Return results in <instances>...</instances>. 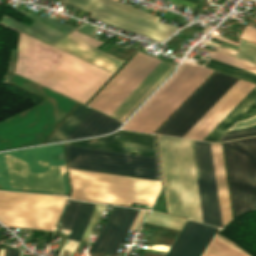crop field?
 I'll list each match as a JSON object with an SVG mask.
<instances>
[{
    "mask_svg": "<svg viewBox=\"0 0 256 256\" xmlns=\"http://www.w3.org/2000/svg\"><path fill=\"white\" fill-rule=\"evenodd\" d=\"M212 59L227 63L229 65L256 73V65L236 59L234 57L216 52V54L212 57Z\"/></svg>",
    "mask_w": 256,
    "mask_h": 256,
    "instance_id": "29",
    "label": "crop field"
},
{
    "mask_svg": "<svg viewBox=\"0 0 256 256\" xmlns=\"http://www.w3.org/2000/svg\"><path fill=\"white\" fill-rule=\"evenodd\" d=\"M212 146L223 226L231 220L220 144Z\"/></svg>",
    "mask_w": 256,
    "mask_h": 256,
    "instance_id": "21",
    "label": "crop field"
},
{
    "mask_svg": "<svg viewBox=\"0 0 256 256\" xmlns=\"http://www.w3.org/2000/svg\"><path fill=\"white\" fill-rule=\"evenodd\" d=\"M216 227L188 220L166 256H199Z\"/></svg>",
    "mask_w": 256,
    "mask_h": 256,
    "instance_id": "16",
    "label": "crop field"
},
{
    "mask_svg": "<svg viewBox=\"0 0 256 256\" xmlns=\"http://www.w3.org/2000/svg\"><path fill=\"white\" fill-rule=\"evenodd\" d=\"M186 1H189V2L197 4L200 0H186Z\"/></svg>",
    "mask_w": 256,
    "mask_h": 256,
    "instance_id": "41",
    "label": "crop field"
},
{
    "mask_svg": "<svg viewBox=\"0 0 256 256\" xmlns=\"http://www.w3.org/2000/svg\"><path fill=\"white\" fill-rule=\"evenodd\" d=\"M64 144L156 157L153 135L118 131L104 137Z\"/></svg>",
    "mask_w": 256,
    "mask_h": 256,
    "instance_id": "13",
    "label": "crop field"
},
{
    "mask_svg": "<svg viewBox=\"0 0 256 256\" xmlns=\"http://www.w3.org/2000/svg\"><path fill=\"white\" fill-rule=\"evenodd\" d=\"M212 72L213 70L183 61L179 70L123 129L153 133Z\"/></svg>",
    "mask_w": 256,
    "mask_h": 256,
    "instance_id": "5",
    "label": "crop field"
},
{
    "mask_svg": "<svg viewBox=\"0 0 256 256\" xmlns=\"http://www.w3.org/2000/svg\"><path fill=\"white\" fill-rule=\"evenodd\" d=\"M255 100L256 86L230 111V113L203 140L215 142Z\"/></svg>",
    "mask_w": 256,
    "mask_h": 256,
    "instance_id": "22",
    "label": "crop field"
},
{
    "mask_svg": "<svg viewBox=\"0 0 256 256\" xmlns=\"http://www.w3.org/2000/svg\"><path fill=\"white\" fill-rule=\"evenodd\" d=\"M237 81L216 72L156 133L182 137Z\"/></svg>",
    "mask_w": 256,
    "mask_h": 256,
    "instance_id": "9",
    "label": "crop field"
},
{
    "mask_svg": "<svg viewBox=\"0 0 256 256\" xmlns=\"http://www.w3.org/2000/svg\"><path fill=\"white\" fill-rule=\"evenodd\" d=\"M255 134H256V127H251V128L227 132L220 140L238 138V137L255 135Z\"/></svg>",
    "mask_w": 256,
    "mask_h": 256,
    "instance_id": "33",
    "label": "crop field"
},
{
    "mask_svg": "<svg viewBox=\"0 0 256 256\" xmlns=\"http://www.w3.org/2000/svg\"><path fill=\"white\" fill-rule=\"evenodd\" d=\"M80 203L81 201H74V200L69 201L68 208L66 210L65 216L61 223L63 225V228L69 229V230L72 228L79 211Z\"/></svg>",
    "mask_w": 256,
    "mask_h": 256,
    "instance_id": "30",
    "label": "crop field"
},
{
    "mask_svg": "<svg viewBox=\"0 0 256 256\" xmlns=\"http://www.w3.org/2000/svg\"><path fill=\"white\" fill-rule=\"evenodd\" d=\"M9 8H11V7H9ZM12 9H15V8H12ZM15 10L34 19L35 21L28 27L16 20L2 14V19L0 21V25H3L9 29H12L17 33H20L21 31H23L27 34H30V35L36 37V38L46 41L52 45H54L63 36H65L69 31H71L75 28V27L64 24L62 22H59V21L49 18V17H45V16H42L39 14H35V13H31V12H27V11H23V10H19V9H15ZM41 20H43L49 24H52L56 27H59L67 32L64 33L58 29L48 26V25L40 22Z\"/></svg>",
    "mask_w": 256,
    "mask_h": 256,
    "instance_id": "15",
    "label": "crop field"
},
{
    "mask_svg": "<svg viewBox=\"0 0 256 256\" xmlns=\"http://www.w3.org/2000/svg\"><path fill=\"white\" fill-rule=\"evenodd\" d=\"M203 256H245L234 248L215 238Z\"/></svg>",
    "mask_w": 256,
    "mask_h": 256,
    "instance_id": "27",
    "label": "crop field"
},
{
    "mask_svg": "<svg viewBox=\"0 0 256 256\" xmlns=\"http://www.w3.org/2000/svg\"><path fill=\"white\" fill-rule=\"evenodd\" d=\"M209 36L216 37V38L222 39V40H224V41H227V42H230V43H233V44H236V45L238 44L237 42L230 41V40H227V39H223V38L217 37V36L212 35V34H210Z\"/></svg>",
    "mask_w": 256,
    "mask_h": 256,
    "instance_id": "40",
    "label": "crop field"
},
{
    "mask_svg": "<svg viewBox=\"0 0 256 256\" xmlns=\"http://www.w3.org/2000/svg\"><path fill=\"white\" fill-rule=\"evenodd\" d=\"M15 73L83 103L112 75L23 33Z\"/></svg>",
    "mask_w": 256,
    "mask_h": 256,
    "instance_id": "1",
    "label": "crop field"
},
{
    "mask_svg": "<svg viewBox=\"0 0 256 256\" xmlns=\"http://www.w3.org/2000/svg\"><path fill=\"white\" fill-rule=\"evenodd\" d=\"M145 221L180 230L186 219L151 211Z\"/></svg>",
    "mask_w": 256,
    "mask_h": 256,
    "instance_id": "25",
    "label": "crop field"
},
{
    "mask_svg": "<svg viewBox=\"0 0 256 256\" xmlns=\"http://www.w3.org/2000/svg\"><path fill=\"white\" fill-rule=\"evenodd\" d=\"M94 203L82 202L76 223L68 236V239L80 241L88 224Z\"/></svg>",
    "mask_w": 256,
    "mask_h": 256,
    "instance_id": "24",
    "label": "crop field"
},
{
    "mask_svg": "<svg viewBox=\"0 0 256 256\" xmlns=\"http://www.w3.org/2000/svg\"><path fill=\"white\" fill-rule=\"evenodd\" d=\"M157 138L168 213L202 222L190 140Z\"/></svg>",
    "mask_w": 256,
    "mask_h": 256,
    "instance_id": "3",
    "label": "crop field"
},
{
    "mask_svg": "<svg viewBox=\"0 0 256 256\" xmlns=\"http://www.w3.org/2000/svg\"><path fill=\"white\" fill-rule=\"evenodd\" d=\"M18 254V251L6 249L4 256H18Z\"/></svg>",
    "mask_w": 256,
    "mask_h": 256,
    "instance_id": "39",
    "label": "crop field"
},
{
    "mask_svg": "<svg viewBox=\"0 0 256 256\" xmlns=\"http://www.w3.org/2000/svg\"><path fill=\"white\" fill-rule=\"evenodd\" d=\"M174 65L161 61L136 89L119 105L111 116L124 121L146 97L174 69Z\"/></svg>",
    "mask_w": 256,
    "mask_h": 256,
    "instance_id": "17",
    "label": "crop field"
},
{
    "mask_svg": "<svg viewBox=\"0 0 256 256\" xmlns=\"http://www.w3.org/2000/svg\"><path fill=\"white\" fill-rule=\"evenodd\" d=\"M254 86L245 82L191 138L202 140Z\"/></svg>",
    "mask_w": 256,
    "mask_h": 256,
    "instance_id": "20",
    "label": "crop field"
},
{
    "mask_svg": "<svg viewBox=\"0 0 256 256\" xmlns=\"http://www.w3.org/2000/svg\"><path fill=\"white\" fill-rule=\"evenodd\" d=\"M55 46L104 67L112 72H114L123 63V61L80 41H77L67 35L56 43Z\"/></svg>",
    "mask_w": 256,
    "mask_h": 256,
    "instance_id": "18",
    "label": "crop field"
},
{
    "mask_svg": "<svg viewBox=\"0 0 256 256\" xmlns=\"http://www.w3.org/2000/svg\"><path fill=\"white\" fill-rule=\"evenodd\" d=\"M243 83L239 80L183 137L190 138Z\"/></svg>",
    "mask_w": 256,
    "mask_h": 256,
    "instance_id": "26",
    "label": "crop field"
},
{
    "mask_svg": "<svg viewBox=\"0 0 256 256\" xmlns=\"http://www.w3.org/2000/svg\"><path fill=\"white\" fill-rule=\"evenodd\" d=\"M4 250H5V249H1V250H0V256H3Z\"/></svg>",
    "mask_w": 256,
    "mask_h": 256,
    "instance_id": "42",
    "label": "crop field"
},
{
    "mask_svg": "<svg viewBox=\"0 0 256 256\" xmlns=\"http://www.w3.org/2000/svg\"><path fill=\"white\" fill-rule=\"evenodd\" d=\"M77 30L93 36V34L96 32L97 28L92 27L88 24H84V25H81L79 28H77Z\"/></svg>",
    "mask_w": 256,
    "mask_h": 256,
    "instance_id": "38",
    "label": "crop field"
},
{
    "mask_svg": "<svg viewBox=\"0 0 256 256\" xmlns=\"http://www.w3.org/2000/svg\"><path fill=\"white\" fill-rule=\"evenodd\" d=\"M234 215L256 209V137L224 143Z\"/></svg>",
    "mask_w": 256,
    "mask_h": 256,
    "instance_id": "7",
    "label": "crop field"
},
{
    "mask_svg": "<svg viewBox=\"0 0 256 256\" xmlns=\"http://www.w3.org/2000/svg\"><path fill=\"white\" fill-rule=\"evenodd\" d=\"M237 58L256 64V45L240 39Z\"/></svg>",
    "mask_w": 256,
    "mask_h": 256,
    "instance_id": "31",
    "label": "crop field"
},
{
    "mask_svg": "<svg viewBox=\"0 0 256 256\" xmlns=\"http://www.w3.org/2000/svg\"><path fill=\"white\" fill-rule=\"evenodd\" d=\"M62 3H66L92 13L89 16L91 18L153 39L158 42L167 38L176 31V29L171 27L93 0H62Z\"/></svg>",
    "mask_w": 256,
    "mask_h": 256,
    "instance_id": "11",
    "label": "crop field"
},
{
    "mask_svg": "<svg viewBox=\"0 0 256 256\" xmlns=\"http://www.w3.org/2000/svg\"><path fill=\"white\" fill-rule=\"evenodd\" d=\"M254 124H256V116L251 117L247 120L237 122L230 130L244 128V127L252 126Z\"/></svg>",
    "mask_w": 256,
    "mask_h": 256,
    "instance_id": "36",
    "label": "crop field"
},
{
    "mask_svg": "<svg viewBox=\"0 0 256 256\" xmlns=\"http://www.w3.org/2000/svg\"><path fill=\"white\" fill-rule=\"evenodd\" d=\"M120 124L121 122L92 110L68 139L106 133L118 128Z\"/></svg>",
    "mask_w": 256,
    "mask_h": 256,
    "instance_id": "19",
    "label": "crop field"
},
{
    "mask_svg": "<svg viewBox=\"0 0 256 256\" xmlns=\"http://www.w3.org/2000/svg\"><path fill=\"white\" fill-rule=\"evenodd\" d=\"M70 170L77 199L130 206L131 202L153 205L160 181L79 169Z\"/></svg>",
    "mask_w": 256,
    "mask_h": 256,
    "instance_id": "4",
    "label": "crop field"
},
{
    "mask_svg": "<svg viewBox=\"0 0 256 256\" xmlns=\"http://www.w3.org/2000/svg\"><path fill=\"white\" fill-rule=\"evenodd\" d=\"M138 212V209L115 206L89 252L115 254Z\"/></svg>",
    "mask_w": 256,
    "mask_h": 256,
    "instance_id": "14",
    "label": "crop field"
},
{
    "mask_svg": "<svg viewBox=\"0 0 256 256\" xmlns=\"http://www.w3.org/2000/svg\"><path fill=\"white\" fill-rule=\"evenodd\" d=\"M69 36L75 38V39H78L86 44H89L95 48L99 47L101 44H103V42L97 40V39H94L86 34H83L77 30L73 31L71 34H69Z\"/></svg>",
    "mask_w": 256,
    "mask_h": 256,
    "instance_id": "34",
    "label": "crop field"
},
{
    "mask_svg": "<svg viewBox=\"0 0 256 256\" xmlns=\"http://www.w3.org/2000/svg\"><path fill=\"white\" fill-rule=\"evenodd\" d=\"M68 166L159 179L156 158L67 146Z\"/></svg>",
    "mask_w": 256,
    "mask_h": 256,
    "instance_id": "8",
    "label": "crop field"
},
{
    "mask_svg": "<svg viewBox=\"0 0 256 256\" xmlns=\"http://www.w3.org/2000/svg\"><path fill=\"white\" fill-rule=\"evenodd\" d=\"M147 211L140 210L130 229L137 230Z\"/></svg>",
    "mask_w": 256,
    "mask_h": 256,
    "instance_id": "37",
    "label": "crop field"
},
{
    "mask_svg": "<svg viewBox=\"0 0 256 256\" xmlns=\"http://www.w3.org/2000/svg\"><path fill=\"white\" fill-rule=\"evenodd\" d=\"M159 62L138 52L89 106L110 115Z\"/></svg>",
    "mask_w": 256,
    "mask_h": 256,
    "instance_id": "10",
    "label": "crop field"
},
{
    "mask_svg": "<svg viewBox=\"0 0 256 256\" xmlns=\"http://www.w3.org/2000/svg\"><path fill=\"white\" fill-rule=\"evenodd\" d=\"M206 66L221 70L223 72H226V73H229V74H232L256 83V74L226 65L224 63L210 59L206 64Z\"/></svg>",
    "mask_w": 256,
    "mask_h": 256,
    "instance_id": "28",
    "label": "crop field"
},
{
    "mask_svg": "<svg viewBox=\"0 0 256 256\" xmlns=\"http://www.w3.org/2000/svg\"><path fill=\"white\" fill-rule=\"evenodd\" d=\"M96 1H99V2H102V3H105V4H108V5H111V6H114V7H117L119 9H122V10H125V11H128V12H131V13H134V14H137V15H140V16H143V17H146V18H149V19H152L154 21H158L159 20V17H156L154 15H151L149 13H146V12H143L141 10H138V9H135L133 7H130V6H127L125 4H122V3H119V2H116L114 0H96ZM151 20V21H152ZM174 28V27H173ZM177 29V28H176Z\"/></svg>",
    "mask_w": 256,
    "mask_h": 256,
    "instance_id": "32",
    "label": "crop field"
},
{
    "mask_svg": "<svg viewBox=\"0 0 256 256\" xmlns=\"http://www.w3.org/2000/svg\"><path fill=\"white\" fill-rule=\"evenodd\" d=\"M65 197L0 192V221L8 227L52 230Z\"/></svg>",
    "mask_w": 256,
    "mask_h": 256,
    "instance_id": "6",
    "label": "crop field"
},
{
    "mask_svg": "<svg viewBox=\"0 0 256 256\" xmlns=\"http://www.w3.org/2000/svg\"><path fill=\"white\" fill-rule=\"evenodd\" d=\"M90 111L91 109L79 104L46 143L66 140Z\"/></svg>",
    "mask_w": 256,
    "mask_h": 256,
    "instance_id": "23",
    "label": "crop field"
},
{
    "mask_svg": "<svg viewBox=\"0 0 256 256\" xmlns=\"http://www.w3.org/2000/svg\"><path fill=\"white\" fill-rule=\"evenodd\" d=\"M194 144L203 222L222 227L210 143L194 141Z\"/></svg>",
    "mask_w": 256,
    "mask_h": 256,
    "instance_id": "12",
    "label": "crop field"
},
{
    "mask_svg": "<svg viewBox=\"0 0 256 256\" xmlns=\"http://www.w3.org/2000/svg\"><path fill=\"white\" fill-rule=\"evenodd\" d=\"M241 38H244L256 43V30L253 29L252 27L246 26L244 32L241 35Z\"/></svg>",
    "mask_w": 256,
    "mask_h": 256,
    "instance_id": "35",
    "label": "crop field"
},
{
    "mask_svg": "<svg viewBox=\"0 0 256 256\" xmlns=\"http://www.w3.org/2000/svg\"><path fill=\"white\" fill-rule=\"evenodd\" d=\"M5 155L12 156L29 170L60 167L65 193H59L64 192L59 168L29 171L12 157L6 156L11 187L59 192L10 188ZM0 190L67 195L69 186L61 145H47L0 153Z\"/></svg>",
    "mask_w": 256,
    "mask_h": 256,
    "instance_id": "2",
    "label": "crop field"
}]
</instances>
